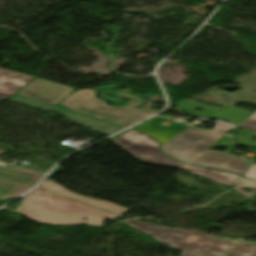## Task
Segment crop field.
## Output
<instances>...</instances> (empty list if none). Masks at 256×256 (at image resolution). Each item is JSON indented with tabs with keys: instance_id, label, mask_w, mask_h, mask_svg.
<instances>
[{
	"instance_id": "13",
	"label": "crop field",
	"mask_w": 256,
	"mask_h": 256,
	"mask_svg": "<svg viewBox=\"0 0 256 256\" xmlns=\"http://www.w3.org/2000/svg\"><path fill=\"white\" fill-rule=\"evenodd\" d=\"M245 188L253 190V193L256 192V181L242 178L234 190L238 191L240 194L245 196L246 198L250 197L253 193L249 194L244 191Z\"/></svg>"
},
{
	"instance_id": "8",
	"label": "crop field",
	"mask_w": 256,
	"mask_h": 256,
	"mask_svg": "<svg viewBox=\"0 0 256 256\" xmlns=\"http://www.w3.org/2000/svg\"><path fill=\"white\" fill-rule=\"evenodd\" d=\"M34 77L0 68V100L13 96Z\"/></svg>"
},
{
	"instance_id": "16",
	"label": "crop field",
	"mask_w": 256,
	"mask_h": 256,
	"mask_svg": "<svg viewBox=\"0 0 256 256\" xmlns=\"http://www.w3.org/2000/svg\"><path fill=\"white\" fill-rule=\"evenodd\" d=\"M118 96L123 97V98H125V99H127L131 102L136 103V104H142L143 103V101H141V100H139V99H137V98H135L131 95H128L126 93H118Z\"/></svg>"
},
{
	"instance_id": "1",
	"label": "crop field",
	"mask_w": 256,
	"mask_h": 256,
	"mask_svg": "<svg viewBox=\"0 0 256 256\" xmlns=\"http://www.w3.org/2000/svg\"><path fill=\"white\" fill-rule=\"evenodd\" d=\"M126 211L128 209L106 201L73 194L51 181L23 196L20 206L15 209V212L44 224L98 227L102 226L103 220L114 221Z\"/></svg>"
},
{
	"instance_id": "7",
	"label": "crop field",
	"mask_w": 256,
	"mask_h": 256,
	"mask_svg": "<svg viewBox=\"0 0 256 256\" xmlns=\"http://www.w3.org/2000/svg\"><path fill=\"white\" fill-rule=\"evenodd\" d=\"M72 91L73 89L67 86L37 79L25 87L19 94L55 105Z\"/></svg>"
},
{
	"instance_id": "18",
	"label": "crop field",
	"mask_w": 256,
	"mask_h": 256,
	"mask_svg": "<svg viewBox=\"0 0 256 256\" xmlns=\"http://www.w3.org/2000/svg\"><path fill=\"white\" fill-rule=\"evenodd\" d=\"M245 177L256 180V164H253L250 172L247 175H245Z\"/></svg>"
},
{
	"instance_id": "3",
	"label": "crop field",
	"mask_w": 256,
	"mask_h": 256,
	"mask_svg": "<svg viewBox=\"0 0 256 256\" xmlns=\"http://www.w3.org/2000/svg\"><path fill=\"white\" fill-rule=\"evenodd\" d=\"M113 142L119 144L135 157L146 162L189 170L229 187H231L239 178V175L219 170L193 167L174 160L159 151L157 147L161 144H159V142L154 138L134 130L125 133L119 138L113 140Z\"/></svg>"
},
{
	"instance_id": "19",
	"label": "crop field",
	"mask_w": 256,
	"mask_h": 256,
	"mask_svg": "<svg viewBox=\"0 0 256 256\" xmlns=\"http://www.w3.org/2000/svg\"><path fill=\"white\" fill-rule=\"evenodd\" d=\"M249 118L256 119V112L252 116H250Z\"/></svg>"
},
{
	"instance_id": "10",
	"label": "crop field",
	"mask_w": 256,
	"mask_h": 256,
	"mask_svg": "<svg viewBox=\"0 0 256 256\" xmlns=\"http://www.w3.org/2000/svg\"><path fill=\"white\" fill-rule=\"evenodd\" d=\"M31 187L32 185L0 179V200L16 197Z\"/></svg>"
},
{
	"instance_id": "9",
	"label": "crop field",
	"mask_w": 256,
	"mask_h": 256,
	"mask_svg": "<svg viewBox=\"0 0 256 256\" xmlns=\"http://www.w3.org/2000/svg\"><path fill=\"white\" fill-rule=\"evenodd\" d=\"M42 176V174L0 162V178L35 184L42 178Z\"/></svg>"
},
{
	"instance_id": "12",
	"label": "crop field",
	"mask_w": 256,
	"mask_h": 256,
	"mask_svg": "<svg viewBox=\"0 0 256 256\" xmlns=\"http://www.w3.org/2000/svg\"><path fill=\"white\" fill-rule=\"evenodd\" d=\"M243 129L244 131L240 132L239 129ZM233 131L240 133L235 139H236V145L243 146V147H249V148H255L256 149V143L251 142L252 139L250 136L256 137V133L250 130H247L245 128H242L240 126H237Z\"/></svg>"
},
{
	"instance_id": "11",
	"label": "crop field",
	"mask_w": 256,
	"mask_h": 256,
	"mask_svg": "<svg viewBox=\"0 0 256 256\" xmlns=\"http://www.w3.org/2000/svg\"><path fill=\"white\" fill-rule=\"evenodd\" d=\"M221 256H256V244L236 242Z\"/></svg>"
},
{
	"instance_id": "2",
	"label": "crop field",
	"mask_w": 256,
	"mask_h": 256,
	"mask_svg": "<svg viewBox=\"0 0 256 256\" xmlns=\"http://www.w3.org/2000/svg\"><path fill=\"white\" fill-rule=\"evenodd\" d=\"M163 120L153 117L134 129L153 136L163 144L160 148L162 152L187 164L218 168L241 175L248 170L240 158L207 149L223 135L176 123L168 128L158 125Z\"/></svg>"
},
{
	"instance_id": "6",
	"label": "crop field",
	"mask_w": 256,
	"mask_h": 256,
	"mask_svg": "<svg viewBox=\"0 0 256 256\" xmlns=\"http://www.w3.org/2000/svg\"><path fill=\"white\" fill-rule=\"evenodd\" d=\"M178 109L184 112L200 115L202 117L210 116L215 118H223L227 119L231 122L236 123H242L244 120H246L250 115L253 114V112L245 111L239 108H235L232 106H224L221 109L184 100L179 103L174 104ZM196 108L204 110L203 113L196 111Z\"/></svg>"
},
{
	"instance_id": "17",
	"label": "crop field",
	"mask_w": 256,
	"mask_h": 256,
	"mask_svg": "<svg viewBox=\"0 0 256 256\" xmlns=\"http://www.w3.org/2000/svg\"><path fill=\"white\" fill-rule=\"evenodd\" d=\"M242 127L248 128L250 130H253L256 132V121H252V120H247L245 121L242 125H240Z\"/></svg>"
},
{
	"instance_id": "14",
	"label": "crop field",
	"mask_w": 256,
	"mask_h": 256,
	"mask_svg": "<svg viewBox=\"0 0 256 256\" xmlns=\"http://www.w3.org/2000/svg\"><path fill=\"white\" fill-rule=\"evenodd\" d=\"M234 127H236V125L216 120L213 131L222 132L226 134L227 132L231 131Z\"/></svg>"
},
{
	"instance_id": "4",
	"label": "crop field",
	"mask_w": 256,
	"mask_h": 256,
	"mask_svg": "<svg viewBox=\"0 0 256 256\" xmlns=\"http://www.w3.org/2000/svg\"><path fill=\"white\" fill-rule=\"evenodd\" d=\"M124 223L157 238L174 249L184 251L183 256H217L234 241L184 229H163L134 220Z\"/></svg>"
},
{
	"instance_id": "15",
	"label": "crop field",
	"mask_w": 256,
	"mask_h": 256,
	"mask_svg": "<svg viewBox=\"0 0 256 256\" xmlns=\"http://www.w3.org/2000/svg\"><path fill=\"white\" fill-rule=\"evenodd\" d=\"M214 146H219V147H226V148H233L232 142L230 137L226 136L223 137L222 139H220L218 142H216L213 146H211L210 148L214 147ZM209 148V149H210Z\"/></svg>"
},
{
	"instance_id": "20",
	"label": "crop field",
	"mask_w": 256,
	"mask_h": 256,
	"mask_svg": "<svg viewBox=\"0 0 256 256\" xmlns=\"http://www.w3.org/2000/svg\"><path fill=\"white\" fill-rule=\"evenodd\" d=\"M129 105L133 107V106H135L136 104L130 103Z\"/></svg>"
},
{
	"instance_id": "5",
	"label": "crop field",
	"mask_w": 256,
	"mask_h": 256,
	"mask_svg": "<svg viewBox=\"0 0 256 256\" xmlns=\"http://www.w3.org/2000/svg\"><path fill=\"white\" fill-rule=\"evenodd\" d=\"M59 105H64L72 111L84 113L123 126H128L156 113L153 110H140L130 106H106L103 101L95 98L94 92L91 90L77 91L59 103Z\"/></svg>"
}]
</instances>
